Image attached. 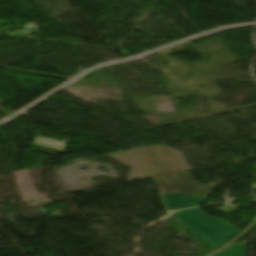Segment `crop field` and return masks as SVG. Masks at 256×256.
I'll return each mask as SVG.
<instances>
[{"label": "crop field", "instance_id": "1", "mask_svg": "<svg viewBox=\"0 0 256 256\" xmlns=\"http://www.w3.org/2000/svg\"><path fill=\"white\" fill-rule=\"evenodd\" d=\"M179 223L189 232L198 235L205 245L216 250L226 244V238L237 234L231 226L208 217L199 208H193L173 213Z\"/></svg>", "mask_w": 256, "mask_h": 256}, {"label": "crop field", "instance_id": "2", "mask_svg": "<svg viewBox=\"0 0 256 256\" xmlns=\"http://www.w3.org/2000/svg\"><path fill=\"white\" fill-rule=\"evenodd\" d=\"M170 210L196 206L203 203L206 198L184 200L180 193L163 195Z\"/></svg>", "mask_w": 256, "mask_h": 256}, {"label": "crop field", "instance_id": "3", "mask_svg": "<svg viewBox=\"0 0 256 256\" xmlns=\"http://www.w3.org/2000/svg\"><path fill=\"white\" fill-rule=\"evenodd\" d=\"M214 256H246L245 255V242L232 245Z\"/></svg>", "mask_w": 256, "mask_h": 256}]
</instances>
